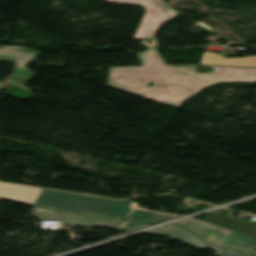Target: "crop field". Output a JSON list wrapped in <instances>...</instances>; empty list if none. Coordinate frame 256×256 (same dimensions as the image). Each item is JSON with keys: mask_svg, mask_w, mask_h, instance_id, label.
I'll return each mask as SVG.
<instances>
[{"mask_svg": "<svg viewBox=\"0 0 256 256\" xmlns=\"http://www.w3.org/2000/svg\"><path fill=\"white\" fill-rule=\"evenodd\" d=\"M139 59L142 66L111 67L107 85L179 108L183 101L216 83H256L254 68L199 65L215 70L199 74L194 70L197 66H166L156 49ZM150 82L154 84L148 88Z\"/></svg>", "mask_w": 256, "mask_h": 256, "instance_id": "crop-field-1", "label": "crop field"}, {"mask_svg": "<svg viewBox=\"0 0 256 256\" xmlns=\"http://www.w3.org/2000/svg\"><path fill=\"white\" fill-rule=\"evenodd\" d=\"M128 203L43 189L34 205L65 212L126 219L131 211L127 208Z\"/></svg>", "mask_w": 256, "mask_h": 256, "instance_id": "crop-field-2", "label": "crop field"}, {"mask_svg": "<svg viewBox=\"0 0 256 256\" xmlns=\"http://www.w3.org/2000/svg\"><path fill=\"white\" fill-rule=\"evenodd\" d=\"M110 3L143 5L146 15L134 38L137 40L155 38L160 26L179 16V13L160 0H104Z\"/></svg>", "mask_w": 256, "mask_h": 256, "instance_id": "crop-field-3", "label": "crop field"}, {"mask_svg": "<svg viewBox=\"0 0 256 256\" xmlns=\"http://www.w3.org/2000/svg\"><path fill=\"white\" fill-rule=\"evenodd\" d=\"M29 213L39 217L41 220H56L63 224L71 225L121 227L124 223L122 220L70 215L35 207H32Z\"/></svg>", "mask_w": 256, "mask_h": 256, "instance_id": "crop-field-4", "label": "crop field"}, {"mask_svg": "<svg viewBox=\"0 0 256 256\" xmlns=\"http://www.w3.org/2000/svg\"><path fill=\"white\" fill-rule=\"evenodd\" d=\"M40 51L35 49L17 47V46H2L0 48V61L16 62L14 73L26 78L35 77V73L24 68L23 66L40 55Z\"/></svg>", "mask_w": 256, "mask_h": 256, "instance_id": "crop-field-5", "label": "crop field"}, {"mask_svg": "<svg viewBox=\"0 0 256 256\" xmlns=\"http://www.w3.org/2000/svg\"><path fill=\"white\" fill-rule=\"evenodd\" d=\"M202 221L256 238V223H248L210 213Z\"/></svg>", "mask_w": 256, "mask_h": 256, "instance_id": "crop-field-6", "label": "crop field"}, {"mask_svg": "<svg viewBox=\"0 0 256 256\" xmlns=\"http://www.w3.org/2000/svg\"><path fill=\"white\" fill-rule=\"evenodd\" d=\"M42 189L0 183V197L33 205Z\"/></svg>", "mask_w": 256, "mask_h": 256, "instance_id": "crop-field-7", "label": "crop field"}, {"mask_svg": "<svg viewBox=\"0 0 256 256\" xmlns=\"http://www.w3.org/2000/svg\"><path fill=\"white\" fill-rule=\"evenodd\" d=\"M177 225L188 228L209 244L213 243L215 240L221 237L219 236L220 233L224 234L225 232H227V230L206 223H202L196 220H186Z\"/></svg>", "mask_w": 256, "mask_h": 256, "instance_id": "crop-field-8", "label": "crop field"}, {"mask_svg": "<svg viewBox=\"0 0 256 256\" xmlns=\"http://www.w3.org/2000/svg\"><path fill=\"white\" fill-rule=\"evenodd\" d=\"M214 244L250 253L256 248V239L230 231Z\"/></svg>", "mask_w": 256, "mask_h": 256, "instance_id": "crop-field-9", "label": "crop field"}, {"mask_svg": "<svg viewBox=\"0 0 256 256\" xmlns=\"http://www.w3.org/2000/svg\"><path fill=\"white\" fill-rule=\"evenodd\" d=\"M148 234L168 235L170 237L179 239L181 241H184L186 243H189L201 249L209 246L205 244L203 241H201L194 234H192L190 231L174 225L150 231L148 232Z\"/></svg>", "mask_w": 256, "mask_h": 256, "instance_id": "crop-field-10", "label": "crop field"}, {"mask_svg": "<svg viewBox=\"0 0 256 256\" xmlns=\"http://www.w3.org/2000/svg\"><path fill=\"white\" fill-rule=\"evenodd\" d=\"M201 64L256 67V56L225 58L216 53L205 52Z\"/></svg>", "mask_w": 256, "mask_h": 256, "instance_id": "crop-field-11", "label": "crop field"}, {"mask_svg": "<svg viewBox=\"0 0 256 256\" xmlns=\"http://www.w3.org/2000/svg\"><path fill=\"white\" fill-rule=\"evenodd\" d=\"M172 217H175V216L160 214V213L140 211V210H133L131 212L128 220L143 222V223H150V222H154V221L161 220V219L167 220V219H170Z\"/></svg>", "mask_w": 256, "mask_h": 256, "instance_id": "crop-field-12", "label": "crop field"}, {"mask_svg": "<svg viewBox=\"0 0 256 256\" xmlns=\"http://www.w3.org/2000/svg\"><path fill=\"white\" fill-rule=\"evenodd\" d=\"M210 248L218 251V253L215 254L217 256H256V250L250 255H246L247 253L242 254V253H238V252H234V251H230V250H226V249H222L214 246H211Z\"/></svg>", "mask_w": 256, "mask_h": 256, "instance_id": "crop-field-13", "label": "crop field"}, {"mask_svg": "<svg viewBox=\"0 0 256 256\" xmlns=\"http://www.w3.org/2000/svg\"><path fill=\"white\" fill-rule=\"evenodd\" d=\"M144 226H148V225L127 221L123 229L133 231V230H136V229L144 227Z\"/></svg>", "mask_w": 256, "mask_h": 256, "instance_id": "crop-field-14", "label": "crop field"}, {"mask_svg": "<svg viewBox=\"0 0 256 256\" xmlns=\"http://www.w3.org/2000/svg\"><path fill=\"white\" fill-rule=\"evenodd\" d=\"M150 40L152 41L151 44H149V43H148L147 41H145V40H143V41L141 42V44L144 45V46H146V47H148V48H151V47H154V46H157V45H158V42H157L156 39H150Z\"/></svg>", "mask_w": 256, "mask_h": 256, "instance_id": "crop-field-15", "label": "crop field"}, {"mask_svg": "<svg viewBox=\"0 0 256 256\" xmlns=\"http://www.w3.org/2000/svg\"><path fill=\"white\" fill-rule=\"evenodd\" d=\"M3 84V82H0V86Z\"/></svg>", "mask_w": 256, "mask_h": 256, "instance_id": "crop-field-16", "label": "crop field"}]
</instances>
